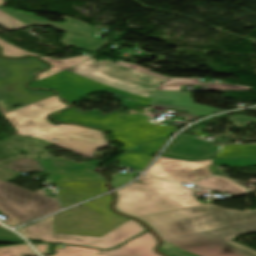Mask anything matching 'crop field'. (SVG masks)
Here are the masks:
<instances>
[{"label":"crop field","mask_w":256,"mask_h":256,"mask_svg":"<svg viewBox=\"0 0 256 256\" xmlns=\"http://www.w3.org/2000/svg\"><path fill=\"white\" fill-rule=\"evenodd\" d=\"M66 107L55 95L4 116L18 130V134L41 138L89 157L97 148L108 146L101 132L63 124L54 126L47 121L50 113ZM52 138L58 141L55 142Z\"/></svg>","instance_id":"obj_3"},{"label":"crop field","mask_w":256,"mask_h":256,"mask_svg":"<svg viewBox=\"0 0 256 256\" xmlns=\"http://www.w3.org/2000/svg\"><path fill=\"white\" fill-rule=\"evenodd\" d=\"M158 244L156 238L149 232L128 242L125 246L113 251H101L106 256H161L154 251Z\"/></svg>","instance_id":"obj_15"},{"label":"crop field","mask_w":256,"mask_h":256,"mask_svg":"<svg viewBox=\"0 0 256 256\" xmlns=\"http://www.w3.org/2000/svg\"><path fill=\"white\" fill-rule=\"evenodd\" d=\"M139 180L184 207L201 204L193 198L195 191H192L180 184L166 182L162 179L148 175L143 176Z\"/></svg>","instance_id":"obj_14"},{"label":"crop field","mask_w":256,"mask_h":256,"mask_svg":"<svg viewBox=\"0 0 256 256\" xmlns=\"http://www.w3.org/2000/svg\"><path fill=\"white\" fill-rule=\"evenodd\" d=\"M94 256H101V255H94Z\"/></svg>","instance_id":"obj_29"},{"label":"crop field","mask_w":256,"mask_h":256,"mask_svg":"<svg viewBox=\"0 0 256 256\" xmlns=\"http://www.w3.org/2000/svg\"><path fill=\"white\" fill-rule=\"evenodd\" d=\"M5 3V0H0V5ZM0 25L10 29V30H19L22 28L29 27L28 25L22 23L21 21L13 18L12 16L6 14L5 12L0 10ZM0 46L2 47V55L9 57H19L24 55H36L32 53L25 52L15 46H12L2 39H0ZM40 56V55H37Z\"/></svg>","instance_id":"obj_16"},{"label":"crop field","mask_w":256,"mask_h":256,"mask_svg":"<svg viewBox=\"0 0 256 256\" xmlns=\"http://www.w3.org/2000/svg\"><path fill=\"white\" fill-rule=\"evenodd\" d=\"M118 195L117 210L147 222L164 238L160 251L169 256H256L255 251L229 241L256 230V210L239 212L210 204L184 208L138 183Z\"/></svg>","instance_id":"obj_1"},{"label":"crop field","mask_w":256,"mask_h":256,"mask_svg":"<svg viewBox=\"0 0 256 256\" xmlns=\"http://www.w3.org/2000/svg\"><path fill=\"white\" fill-rule=\"evenodd\" d=\"M212 165V159L190 162L185 160L169 159L161 156L157 162L147 171L158 177L175 182H191L197 180L198 177L190 171Z\"/></svg>","instance_id":"obj_11"},{"label":"crop field","mask_w":256,"mask_h":256,"mask_svg":"<svg viewBox=\"0 0 256 256\" xmlns=\"http://www.w3.org/2000/svg\"><path fill=\"white\" fill-rule=\"evenodd\" d=\"M21 238L17 236L16 234L0 228V242H5V243H17L21 242Z\"/></svg>","instance_id":"obj_24"},{"label":"crop field","mask_w":256,"mask_h":256,"mask_svg":"<svg viewBox=\"0 0 256 256\" xmlns=\"http://www.w3.org/2000/svg\"><path fill=\"white\" fill-rule=\"evenodd\" d=\"M51 184L61 187L57 194L62 201V208L78 203L86 198L107 192L104 181Z\"/></svg>","instance_id":"obj_13"},{"label":"crop field","mask_w":256,"mask_h":256,"mask_svg":"<svg viewBox=\"0 0 256 256\" xmlns=\"http://www.w3.org/2000/svg\"><path fill=\"white\" fill-rule=\"evenodd\" d=\"M229 119L232 120L236 126L243 127V128H245L251 122H255L256 123V119L250 118V117L241 116V115H238V116H235V117H232V118H229Z\"/></svg>","instance_id":"obj_26"},{"label":"crop field","mask_w":256,"mask_h":256,"mask_svg":"<svg viewBox=\"0 0 256 256\" xmlns=\"http://www.w3.org/2000/svg\"><path fill=\"white\" fill-rule=\"evenodd\" d=\"M210 167H204V168H201V169H198V170H195V171H192L194 174H196L199 179L201 178H204V177H207V176H210V175H213L208 169Z\"/></svg>","instance_id":"obj_27"},{"label":"crop field","mask_w":256,"mask_h":256,"mask_svg":"<svg viewBox=\"0 0 256 256\" xmlns=\"http://www.w3.org/2000/svg\"><path fill=\"white\" fill-rule=\"evenodd\" d=\"M210 191L227 192L229 194L235 195L236 197L247 195L248 192L240 185L234 183L233 181L222 178V177H210L206 180L194 182Z\"/></svg>","instance_id":"obj_17"},{"label":"crop field","mask_w":256,"mask_h":256,"mask_svg":"<svg viewBox=\"0 0 256 256\" xmlns=\"http://www.w3.org/2000/svg\"><path fill=\"white\" fill-rule=\"evenodd\" d=\"M217 149L218 146L179 136L167 147L164 155L185 160H199L213 157Z\"/></svg>","instance_id":"obj_12"},{"label":"crop field","mask_w":256,"mask_h":256,"mask_svg":"<svg viewBox=\"0 0 256 256\" xmlns=\"http://www.w3.org/2000/svg\"><path fill=\"white\" fill-rule=\"evenodd\" d=\"M181 85H206V83H199L198 79L172 78L161 86H158V90L180 91Z\"/></svg>","instance_id":"obj_21"},{"label":"crop field","mask_w":256,"mask_h":256,"mask_svg":"<svg viewBox=\"0 0 256 256\" xmlns=\"http://www.w3.org/2000/svg\"><path fill=\"white\" fill-rule=\"evenodd\" d=\"M229 165V166H241L249 167L256 165V160L251 158H235V159H213V165Z\"/></svg>","instance_id":"obj_23"},{"label":"crop field","mask_w":256,"mask_h":256,"mask_svg":"<svg viewBox=\"0 0 256 256\" xmlns=\"http://www.w3.org/2000/svg\"><path fill=\"white\" fill-rule=\"evenodd\" d=\"M0 9L31 26H49L56 30L65 32L66 34L64 37L61 38L60 43L66 46L76 47L77 49L82 50L98 51L101 50L108 43H110L108 41H103L91 37L96 32V30H93L94 28L83 22L63 17L61 19L67 20V22L61 25L42 20L33 14H26L22 11L18 12L16 10L8 8Z\"/></svg>","instance_id":"obj_9"},{"label":"crop field","mask_w":256,"mask_h":256,"mask_svg":"<svg viewBox=\"0 0 256 256\" xmlns=\"http://www.w3.org/2000/svg\"><path fill=\"white\" fill-rule=\"evenodd\" d=\"M40 58H42L44 61L50 63L52 65V67L49 70H47L46 72L40 73L34 82L44 79L46 77H49V76H51L57 72H60L62 70L68 69V68H70L80 62H83L87 59H90L92 57L83 55V56H79L77 58H71V59H67V60H54V59L47 58V57H40ZM31 83H33V82H31Z\"/></svg>","instance_id":"obj_18"},{"label":"crop field","mask_w":256,"mask_h":256,"mask_svg":"<svg viewBox=\"0 0 256 256\" xmlns=\"http://www.w3.org/2000/svg\"><path fill=\"white\" fill-rule=\"evenodd\" d=\"M110 196L82 204L54 216L55 233L101 236L129 220L108 209Z\"/></svg>","instance_id":"obj_4"},{"label":"crop field","mask_w":256,"mask_h":256,"mask_svg":"<svg viewBox=\"0 0 256 256\" xmlns=\"http://www.w3.org/2000/svg\"><path fill=\"white\" fill-rule=\"evenodd\" d=\"M150 71V69L130 62L111 63L96 61L95 58H92L73 68L33 83L29 87L55 90L71 103L86 98L90 94L101 92L150 106V100L105 85L108 83L152 97L157 86L171 77Z\"/></svg>","instance_id":"obj_2"},{"label":"crop field","mask_w":256,"mask_h":256,"mask_svg":"<svg viewBox=\"0 0 256 256\" xmlns=\"http://www.w3.org/2000/svg\"><path fill=\"white\" fill-rule=\"evenodd\" d=\"M58 201L16 187L0 180V212L11 221V227L34 218L57 211ZM22 224V223H21Z\"/></svg>","instance_id":"obj_8"},{"label":"crop field","mask_w":256,"mask_h":256,"mask_svg":"<svg viewBox=\"0 0 256 256\" xmlns=\"http://www.w3.org/2000/svg\"><path fill=\"white\" fill-rule=\"evenodd\" d=\"M150 104L152 105L151 107L153 109H157L160 113H162V111H164L167 108H176V109H179L178 112H185V113L200 116V117H204L208 114L222 111V110L214 109L204 105L196 104L192 101L190 93H183V92L157 91L154 97L152 98V101ZM75 109L76 108L74 107L63 113L57 114L56 116H54V119L56 121L74 122V121H70L60 117ZM148 111L149 110L146 109L145 112L141 115L121 117L98 126L87 124V123H81V122H76V123H81L90 127L99 128V129H103L110 132L113 140L122 144L124 146L122 149L128 150L134 146L122 140L118 136V134L115 132V130L145 120Z\"/></svg>","instance_id":"obj_7"},{"label":"crop field","mask_w":256,"mask_h":256,"mask_svg":"<svg viewBox=\"0 0 256 256\" xmlns=\"http://www.w3.org/2000/svg\"><path fill=\"white\" fill-rule=\"evenodd\" d=\"M27 245V244H26ZM11 246V247H1L0 256H24L31 255L37 256L28 246Z\"/></svg>","instance_id":"obj_22"},{"label":"crop field","mask_w":256,"mask_h":256,"mask_svg":"<svg viewBox=\"0 0 256 256\" xmlns=\"http://www.w3.org/2000/svg\"><path fill=\"white\" fill-rule=\"evenodd\" d=\"M54 251L58 252L54 256H92L100 253V250L75 246H67L63 249L54 248Z\"/></svg>","instance_id":"obj_20"},{"label":"crop field","mask_w":256,"mask_h":256,"mask_svg":"<svg viewBox=\"0 0 256 256\" xmlns=\"http://www.w3.org/2000/svg\"><path fill=\"white\" fill-rule=\"evenodd\" d=\"M144 230H146L144 226L130 219L101 237L55 234L52 216L18 231L30 240L62 242L88 247L110 249L140 234Z\"/></svg>","instance_id":"obj_6"},{"label":"crop field","mask_w":256,"mask_h":256,"mask_svg":"<svg viewBox=\"0 0 256 256\" xmlns=\"http://www.w3.org/2000/svg\"><path fill=\"white\" fill-rule=\"evenodd\" d=\"M45 68L34 59H0V105L6 113L14 110V105L26 106L35 101L55 95L50 92L28 91L24 83L32 78V70Z\"/></svg>","instance_id":"obj_5"},{"label":"crop field","mask_w":256,"mask_h":256,"mask_svg":"<svg viewBox=\"0 0 256 256\" xmlns=\"http://www.w3.org/2000/svg\"><path fill=\"white\" fill-rule=\"evenodd\" d=\"M52 182L103 180L101 176L89 169L92 163H77L63 157L38 158Z\"/></svg>","instance_id":"obj_10"},{"label":"crop field","mask_w":256,"mask_h":256,"mask_svg":"<svg viewBox=\"0 0 256 256\" xmlns=\"http://www.w3.org/2000/svg\"><path fill=\"white\" fill-rule=\"evenodd\" d=\"M37 250L38 252L43 256L48 245H33Z\"/></svg>","instance_id":"obj_28"},{"label":"crop field","mask_w":256,"mask_h":256,"mask_svg":"<svg viewBox=\"0 0 256 256\" xmlns=\"http://www.w3.org/2000/svg\"><path fill=\"white\" fill-rule=\"evenodd\" d=\"M208 89H215V90H242V89H250L251 87L234 85L231 86L229 84H208Z\"/></svg>","instance_id":"obj_25"},{"label":"crop field","mask_w":256,"mask_h":256,"mask_svg":"<svg viewBox=\"0 0 256 256\" xmlns=\"http://www.w3.org/2000/svg\"><path fill=\"white\" fill-rule=\"evenodd\" d=\"M251 156L256 158V145L220 146L214 158Z\"/></svg>","instance_id":"obj_19"}]
</instances>
